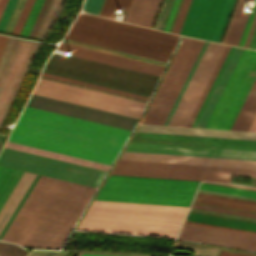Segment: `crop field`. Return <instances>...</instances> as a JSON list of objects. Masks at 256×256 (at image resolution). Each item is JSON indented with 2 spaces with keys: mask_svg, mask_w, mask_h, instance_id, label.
<instances>
[{
  "mask_svg": "<svg viewBox=\"0 0 256 256\" xmlns=\"http://www.w3.org/2000/svg\"><path fill=\"white\" fill-rule=\"evenodd\" d=\"M129 133L25 106L8 140L111 165Z\"/></svg>",
  "mask_w": 256,
  "mask_h": 256,
  "instance_id": "8a807250",
  "label": "crop field"
},
{
  "mask_svg": "<svg viewBox=\"0 0 256 256\" xmlns=\"http://www.w3.org/2000/svg\"><path fill=\"white\" fill-rule=\"evenodd\" d=\"M95 190L40 176L1 239L60 248Z\"/></svg>",
  "mask_w": 256,
  "mask_h": 256,
  "instance_id": "ac0d7876",
  "label": "crop field"
},
{
  "mask_svg": "<svg viewBox=\"0 0 256 256\" xmlns=\"http://www.w3.org/2000/svg\"><path fill=\"white\" fill-rule=\"evenodd\" d=\"M187 209L93 200L78 229L174 238Z\"/></svg>",
  "mask_w": 256,
  "mask_h": 256,
  "instance_id": "34b2d1b8",
  "label": "crop field"
},
{
  "mask_svg": "<svg viewBox=\"0 0 256 256\" xmlns=\"http://www.w3.org/2000/svg\"><path fill=\"white\" fill-rule=\"evenodd\" d=\"M65 38L167 62L179 36L80 14Z\"/></svg>",
  "mask_w": 256,
  "mask_h": 256,
  "instance_id": "412701ff",
  "label": "crop field"
},
{
  "mask_svg": "<svg viewBox=\"0 0 256 256\" xmlns=\"http://www.w3.org/2000/svg\"><path fill=\"white\" fill-rule=\"evenodd\" d=\"M199 182L109 175L95 199L189 206Z\"/></svg>",
  "mask_w": 256,
  "mask_h": 256,
  "instance_id": "f4fd0767",
  "label": "crop field"
},
{
  "mask_svg": "<svg viewBox=\"0 0 256 256\" xmlns=\"http://www.w3.org/2000/svg\"><path fill=\"white\" fill-rule=\"evenodd\" d=\"M44 72L83 80L149 97L157 76L53 53Z\"/></svg>",
  "mask_w": 256,
  "mask_h": 256,
  "instance_id": "dd49c442",
  "label": "crop field"
},
{
  "mask_svg": "<svg viewBox=\"0 0 256 256\" xmlns=\"http://www.w3.org/2000/svg\"><path fill=\"white\" fill-rule=\"evenodd\" d=\"M256 78V51L244 49L205 128L230 130Z\"/></svg>",
  "mask_w": 256,
  "mask_h": 256,
  "instance_id": "e52e79f7",
  "label": "crop field"
},
{
  "mask_svg": "<svg viewBox=\"0 0 256 256\" xmlns=\"http://www.w3.org/2000/svg\"><path fill=\"white\" fill-rule=\"evenodd\" d=\"M203 43L183 39L142 123L163 125Z\"/></svg>",
  "mask_w": 256,
  "mask_h": 256,
  "instance_id": "d8731c3e",
  "label": "crop field"
},
{
  "mask_svg": "<svg viewBox=\"0 0 256 256\" xmlns=\"http://www.w3.org/2000/svg\"><path fill=\"white\" fill-rule=\"evenodd\" d=\"M111 174L229 183L231 175L256 176V170L118 160Z\"/></svg>",
  "mask_w": 256,
  "mask_h": 256,
  "instance_id": "5a996713",
  "label": "crop field"
},
{
  "mask_svg": "<svg viewBox=\"0 0 256 256\" xmlns=\"http://www.w3.org/2000/svg\"><path fill=\"white\" fill-rule=\"evenodd\" d=\"M34 94L139 118L145 104L40 78Z\"/></svg>",
  "mask_w": 256,
  "mask_h": 256,
  "instance_id": "3316defc",
  "label": "crop field"
},
{
  "mask_svg": "<svg viewBox=\"0 0 256 256\" xmlns=\"http://www.w3.org/2000/svg\"><path fill=\"white\" fill-rule=\"evenodd\" d=\"M0 164L66 179L93 187L98 186L105 174L104 171L43 158L5 147L0 154Z\"/></svg>",
  "mask_w": 256,
  "mask_h": 256,
  "instance_id": "28ad6ade",
  "label": "crop field"
},
{
  "mask_svg": "<svg viewBox=\"0 0 256 256\" xmlns=\"http://www.w3.org/2000/svg\"><path fill=\"white\" fill-rule=\"evenodd\" d=\"M235 0H192L179 34L220 42Z\"/></svg>",
  "mask_w": 256,
  "mask_h": 256,
  "instance_id": "d1516ede",
  "label": "crop field"
},
{
  "mask_svg": "<svg viewBox=\"0 0 256 256\" xmlns=\"http://www.w3.org/2000/svg\"><path fill=\"white\" fill-rule=\"evenodd\" d=\"M131 141L256 150V141L136 132Z\"/></svg>",
  "mask_w": 256,
  "mask_h": 256,
  "instance_id": "22f410ed",
  "label": "crop field"
},
{
  "mask_svg": "<svg viewBox=\"0 0 256 256\" xmlns=\"http://www.w3.org/2000/svg\"><path fill=\"white\" fill-rule=\"evenodd\" d=\"M181 230L256 242V236H253V235H247V234H241V233H235V232H229V231H223V230H217V229H211V228H205V227H199V226H193V225H187V224H184ZM184 231L180 232L178 238L193 240V241L202 242V243L256 250V243L209 236V235H202V234H196V233H190V232H184Z\"/></svg>",
  "mask_w": 256,
  "mask_h": 256,
  "instance_id": "cbeb9de0",
  "label": "crop field"
},
{
  "mask_svg": "<svg viewBox=\"0 0 256 256\" xmlns=\"http://www.w3.org/2000/svg\"><path fill=\"white\" fill-rule=\"evenodd\" d=\"M120 159L256 169V161L124 152Z\"/></svg>",
  "mask_w": 256,
  "mask_h": 256,
  "instance_id": "5142ce71",
  "label": "crop field"
},
{
  "mask_svg": "<svg viewBox=\"0 0 256 256\" xmlns=\"http://www.w3.org/2000/svg\"><path fill=\"white\" fill-rule=\"evenodd\" d=\"M59 50L75 53L74 56L160 76L163 66L107 54L61 42Z\"/></svg>",
  "mask_w": 256,
  "mask_h": 256,
  "instance_id": "d9b57169",
  "label": "crop field"
},
{
  "mask_svg": "<svg viewBox=\"0 0 256 256\" xmlns=\"http://www.w3.org/2000/svg\"><path fill=\"white\" fill-rule=\"evenodd\" d=\"M127 148L256 158V151L130 142Z\"/></svg>",
  "mask_w": 256,
  "mask_h": 256,
  "instance_id": "733c2abd",
  "label": "crop field"
},
{
  "mask_svg": "<svg viewBox=\"0 0 256 256\" xmlns=\"http://www.w3.org/2000/svg\"><path fill=\"white\" fill-rule=\"evenodd\" d=\"M225 46L224 45H219V44H216L176 126H186L197 102H198V99L210 77V75L212 74L223 50H224Z\"/></svg>",
  "mask_w": 256,
  "mask_h": 256,
  "instance_id": "4a817a6b",
  "label": "crop field"
},
{
  "mask_svg": "<svg viewBox=\"0 0 256 256\" xmlns=\"http://www.w3.org/2000/svg\"><path fill=\"white\" fill-rule=\"evenodd\" d=\"M137 131L256 140L255 133L140 125Z\"/></svg>",
  "mask_w": 256,
  "mask_h": 256,
  "instance_id": "bc2a9ffb",
  "label": "crop field"
},
{
  "mask_svg": "<svg viewBox=\"0 0 256 256\" xmlns=\"http://www.w3.org/2000/svg\"><path fill=\"white\" fill-rule=\"evenodd\" d=\"M160 3L161 0H132L124 21L151 28Z\"/></svg>",
  "mask_w": 256,
  "mask_h": 256,
  "instance_id": "214f88e0",
  "label": "crop field"
},
{
  "mask_svg": "<svg viewBox=\"0 0 256 256\" xmlns=\"http://www.w3.org/2000/svg\"><path fill=\"white\" fill-rule=\"evenodd\" d=\"M242 51H243L242 48L235 47L227 65H226V67H225V69H224V71H223V73H222V75H221V77H220V79H219V81H218V83H217V85H216V87H215V89H214V91H213V93H212V95H211V97H210V99H209V101H208V103H207V105H206V107H205L197 125H196V127L204 128V126H205V124H206V122H207V120H208V118H209V116H210V114H211V112H212V110H213V108H214V106H215L223 88L225 87V85H226V83H227V81H228V79H229V77H230V75H231V73H232V71H233L241 53H242Z\"/></svg>",
  "mask_w": 256,
  "mask_h": 256,
  "instance_id": "92a150f3",
  "label": "crop field"
},
{
  "mask_svg": "<svg viewBox=\"0 0 256 256\" xmlns=\"http://www.w3.org/2000/svg\"><path fill=\"white\" fill-rule=\"evenodd\" d=\"M214 46H215L214 43H210V42L208 43V45H207L199 63H198V65H197V67H196V69H195V71H194V73H193V75H192V77H191V79H190V81H189V83H188V85H187V87H186V89H185V91H184V93H183V95H182L174 113H173V116H172L171 120L168 123V125L175 126V124H176V122H177V120H178V118H179V116H180V114H181V112H182V110H183V108H184V106H185V104H186V102H187V100H188V98H189V96H190V94H191V92H192V90H193V88H194V86H195V84H196V82H197V80H198V78H199V76H200V74H201V72H202L210 54H211V52H212V50H213V48H214Z\"/></svg>",
  "mask_w": 256,
  "mask_h": 256,
  "instance_id": "dafd665d",
  "label": "crop field"
},
{
  "mask_svg": "<svg viewBox=\"0 0 256 256\" xmlns=\"http://www.w3.org/2000/svg\"><path fill=\"white\" fill-rule=\"evenodd\" d=\"M4 146L11 149L23 151V152H28L36 155H41L45 157H50L58 160H63L71 163L84 165V166H89V167H93V168H97L105 171H107V169L109 168L108 165L91 162V161H87L79 158H74V157H70L62 154H57V153H53V152H49V151H45L37 148H32V147H28V146H24L16 143L8 142V141H6Z\"/></svg>",
  "mask_w": 256,
  "mask_h": 256,
  "instance_id": "00972430",
  "label": "crop field"
},
{
  "mask_svg": "<svg viewBox=\"0 0 256 256\" xmlns=\"http://www.w3.org/2000/svg\"><path fill=\"white\" fill-rule=\"evenodd\" d=\"M186 220L256 231V223L188 212Z\"/></svg>",
  "mask_w": 256,
  "mask_h": 256,
  "instance_id": "a9b5d70f",
  "label": "crop field"
},
{
  "mask_svg": "<svg viewBox=\"0 0 256 256\" xmlns=\"http://www.w3.org/2000/svg\"><path fill=\"white\" fill-rule=\"evenodd\" d=\"M244 1L245 0H238L237 2L231 21L229 23L228 29L226 31L225 37L222 42L224 44H230L235 46L238 45L245 22L248 17V14L240 13Z\"/></svg>",
  "mask_w": 256,
  "mask_h": 256,
  "instance_id": "4177f3b9",
  "label": "crop field"
},
{
  "mask_svg": "<svg viewBox=\"0 0 256 256\" xmlns=\"http://www.w3.org/2000/svg\"><path fill=\"white\" fill-rule=\"evenodd\" d=\"M256 112V80L231 128V130L246 131Z\"/></svg>",
  "mask_w": 256,
  "mask_h": 256,
  "instance_id": "730fd06b",
  "label": "crop field"
},
{
  "mask_svg": "<svg viewBox=\"0 0 256 256\" xmlns=\"http://www.w3.org/2000/svg\"><path fill=\"white\" fill-rule=\"evenodd\" d=\"M194 202L225 206V207H231V208H237V209L256 212V202L245 201V200H238V199L198 193Z\"/></svg>",
  "mask_w": 256,
  "mask_h": 256,
  "instance_id": "eef30255",
  "label": "crop field"
},
{
  "mask_svg": "<svg viewBox=\"0 0 256 256\" xmlns=\"http://www.w3.org/2000/svg\"><path fill=\"white\" fill-rule=\"evenodd\" d=\"M22 174V171L0 166V209Z\"/></svg>",
  "mask_w": 256,
  "mask_h": 256,
  "instance_id": "ae1a2a85",
  "label": "crop field"
},
{
  "mask_svg": "<svg viewBox=\"0 0 256 256\" xmlns=\"http://www.w3.org/2000/svg\"><path fill=\"white\" fill-rule=\"evenodd\" d=\"M199 189L256 198L255 191L230 188V187H224V186H218V185H212V184H206V183H202Z\"/></svg>",
  "mask_w": 256,
  "mask_h": 256,
  "instance_id": "d3111659",
  "label": "crop field"
},
{
  "mask_svg": "<svg viewBox=\"0 0 256 256\" xmlns=\"http://www.w3.org/2000/svg\"><path fill=\"white\" fill-rule=\"evenodd\" d=\"M131 0H105L100 11V16L114 18L117 8L128 9Z\"/></svg>",
  "mask_w": 256,
  "mask_h": 256,
  "instance_id": "750c4746",
  "label": "crop field"
},
{
  "mask_svg": "<svg viewBox=\"0 0 256 256\" xmlns=\"http://www.w3.org/2000/svg\"><path fill=\"white\" fill-rule=\"evenodd\" d=\"M230 47L231 46L227 45L222 57L220 58L217 66H216V68H215V70H214V72H213V74H212V76H211V78H210V80H209V82H208V84H207V86H206V88H205V90H204V92H203V94H202V96H201V98H200V100H199V102H198V104H197V106H196L188 124H187L188 127L191 126V124H192V122H193V120H194V118H195V116H196V114H197V112H198V110H199V108H200V106H201V104H202V102H203V100H204V98H205V96H206V94H207V92H208V90H209V88H210V86H211V84H212V82H213V80H214V78H215V76H216L224 58H225V56H226V54H227V52H228V50L230 49Z\"/></svg>",
  "mask_w": 256,
  "mask_h": 256,
  "instance_id": "bd1437ed",
  "label": "crop field"
},
{
  "mask_svg": "<svg viewBox=\"0 0 256 256\" xmlns=\"http://www.w3.org/2000/svg\"><path fill=\"white\" fill-rule=\"evenodd\" d=\"M41 75L51 77V78H55V79H59V80H63V81H67V82H71V83H75V84H79V85H84V86H88V87H93V88H97V89H101V90H106V91H110V92H115V93H119V94H123V95H128V96L148 100L147 97L134 95V94H130V93H125V92L109 89V88H106V87H102V86H98V85H94V84H90V83H85V82H81V81H77V80H73V79H69V78H64V77H60V76H56V75H52V74H48V73H44V72H42Z\"/></svg>",
  "mask_w": 256,
  "mask_h": 256,
  "instance_id": "1d83c4d3",
  "label": "crop field"
},
{
  "mask_svg": "<svg viewBox=\"0 0 256 256\" xmlns=\"http://www.w3.org/2000/svg\"><path fill=\"white\" fill-rule=\"evenodd\" d=\"M25 1L26 0H17L15 6L13 8V11H12V13H11L9 19H8V22H7V24L4 28L5 32H9V33L12 32V30H13L15 24H16V21H17L19 15H20V12H21L24 4H25Z\"/></svg>",
  "mask_w": 256,
  "mask_h": 256,
  "instance_id": "120bbe31",
  "label": "crop field"
},
{
  "mask_svg": "<svg viewBox=\"0 0 256 256\" xmlns=\"http://www.w3.org/2000/svg\"><path fill=\"white\" fill-rule=\"evenodd\" d=\"M174 0H164L157 22L155 24L156 29H164L170 10L172 8Z\"/></svg>",
  "mask_w": 256,
  "mask_h": 256,
  "instance_id": "d32e631a",
  "label": "crop field"
},
{
  "mask_svg": "<svg viewBox=\"0 0 256 256\" xmlns=\"http://www.w3.org/2000/svg\"><path fill=\"white\" fill-rule=\"evenodd\" d=\"M34 1L35 0H27L26 1V4H25V6H24V8H23V10L21 12V15H20V17H19V19L17 21V24H16V26H15V28H14L12 33L18 34V35L20 34V32H21V30H22V28L24 26V23H25V21H26V19L28 17V14H29L32 6H33Z\"/></svg>",
  "mask_w": 256,
  "mask_h": 256,
  "instance_id": "5866460e",
  "label": "crop field"
},
{
  "mask_svg": "<svg viewBox=\"0 0 256 256\" xmlns=\"http://www.w3.org/2000/svg\"><path fill=\"white\" fill-rule=\"evenodd\" d=\"M43 0H36L35 3H34V6L29 14V17L25 23V26L21 32L20 35H24V36H27L31 27H32V24L36 18V15L41 7V4H42Z\"/></svg>",
  "mask_w": 256,
  "mask_h": 256,
  "instance_id": "028f5c9d",
  "label": "crop field"
},
{
  "mask_svg": "<svg viewBox=\"0 0 256 256\" xmlns=\"http://www.w3.org/2000/svg\"><path fill=\"white\" fill-rule=\"evenodd\" d=\"M191 0H183L182 5L180 7L179 13L177 15L176 21L174 23L173 29L171 32L173 33H179V30L181 28L182 22L184 20L185 14L187 12L188 6L190 4Z\"/></svg>",
  "mask_w": 256,
  "mask_h": 256,
  "instance_id": "e1f06a70",
  "label": "crop field"
},
{
  "mask_svg": "<svg viewBox=\"0 0 256 256\" xmlns=\"http://www.w3.org/2000/svg\"><path fill=\"white\" fill-rule=\"evenodd\" d=\"M29 175V173L24 172V174L22 175L21 179L19 180V182L17 183L16 187L14 188V190L12 191V193L10 194L9 198L7 199V201L5 202L4 206L2 207V209L0 210V219L2 218V216L4 215L5 211L7 210V208L9 207L10 203L12 202V200L14 199L15 195L17 194V192L19 191V189L21 188L22 184L24 183V181L26 180L27 176Z\"/></svg>",
  "mask_w": 256,
  "mask_h": 256,
  "instance_id": "0bd39190",
  "label": "crop field"
},
{
  "mask_svg": "<svg viewBox=\"0 0 256 256\" xmlns=\"http://www.w3.org/2000/svg\"><path fill=\"white\" fill-rule=\"evenodd\" d=\"M233 49H234V47H231L223 65H222V67H221V69H220V71H219V73H218V75H217V77H216V79H215V81H214V83H213V85H212V87H211V89H210V91H209V93H208V95H207V97H206V99H205V101H204V103H203V105H202V107H201L193 125H192V127H195V125H196V123H197V121H198V119H199V117H200V115H201V113H202V111H203V109H204V107H205V105H206V103H207V101H208V99H209V97H210V95H211V93H212V91H213V89H214V87H215V85H216V83H217V81H218V79H219V77H220V75H221L229 57H230V55H231V53H232V51H233Z\"/></svg>",
  "mask_w": 256,
  "mask_h": 256,
  "instance_id": "b80d0937",
  "label": "crop field"
},
{
  "mask_svg": "<svg viewBox=\"0 0 256 256\" xmlns=\"http://www.w3.org/2000/svg\"><path fill=\"white\" fill-rule=\"evenodd\" d=\"M103 0H85L83 10L92 14H99Z\"/></svg>",
  "mask_w": 256,
  "mask_h": 256,
  "instance_id": "c035e120",
  "label": "crop field"
},
{
  "mask_svg": "<svg viewBox=\"0 0 256 256\" xmlns=\"http://www.w3.org/2000/svg\"><path fill=\"white\" fill-rule=\"evenodd\" d=\"M207 43L208 42L206 41L202 50H201V52H200V54H199V56H198V58H197V60H196V62H195V64H194V66H193V68H192V70H191V72H190V74H189V76H188V78H187V80H186V82H185V84H184V86H183V88H182V90H181V92H180V94H179V96H178V98L176 99V101H175V103H174V105H173V107H172L164 125H167V123H168V121H169V119H170V117H171V115H172V113H173V111H174V109H175V107H176V105H177V103H178V101H179V99H180V97H181V95H182V93H183V91H184V89H185V87H186V85H187V83H188V81H189V79H190V77H191V75H192V73H193V71H194V69H195L203 51H204V49H205V47H206V45H207Z\"/></svg>",
  "mask_w": 256,
  "mask_h": 256,
  "instance_id": "c21b1889",
  "label": "crop field"
},
{
  "mask_svg": "<svg viewBox=\"0 0 256 256\" xmlns=\"http://www.w3.org/2000/svg\"><path fill=\"white\" fill-rule=\"evenodd\" d=\"M182 0H175V3L173 5L172 11L170 13L169 19L167 21L166 27H165V31H171V28L173 26L174 20L176 18L177 12L179 10L180 4H181Z\"/></svg>",
  "mask_w": 256,
  "mask_h": 256,
  "instance_id": "03da06ac",
  "label": "crop field"
},
{
  "mask_svg": "<svg viewBox=\"0 0 256 256\" xmlns=\"http://www.w3.org/2000/svg\"><path fill=\"white\" fill-rule=\"evenodd\" d=\"M15 2H16V0H9L8 1L7 5H6L5 9H4V12H3V14H2V16L0 18V31L3 30V28H4V26H5L6 22H7V19L9 17L10 13H11V10H12Z\"/></svg>",
  "mask_w": 256,
  "mask_h": 256,
  "instance_id": "b54c1fbb",
  "label": "crop field"
},
{
  "mask_svg": "<svg viewBox=\"0 0 256 256\" xmlns=\"http://www.w3.org/2000/svg\"><path fill=\"white\" fill-rule=\"evenodd\" d=\"M192 207L213 210V211H219V212L232 213V214H238V215H244V216H250V217H256V214H252V213L239 212V211H233V210H227V209H221V208H214V207H208V206H202V205H196V204H193Z\"/></svg>",
  "mask_w": 256,
  "mask_h": 256,
  "instance_id": "5d738f31",
  "label": "crop field"
},
{
  "mask_svg": "<svg viewBox=\"0 0 256 256\" xmlns=\"http://www.w3.org/2000/svg\"><path fill=\"white\" fill-rule=\"evenodd\" d=\"M36 177L35 174H33L32 178L30 179V181L28 182L27 186L25 187L24 191L22 192V194L20 195L19 199L17 200L16 204L14 205V207L12 208L11 212L9 213L8 217L6 218V220L4 221L3 225L0 228V232L2 231V229L4 228L5 224L7 223V221L9 220V218L11 217L12 213L14 212V210L16 209L17 205L19 204V202L21 201L22 197L24 196V194L26 193V191L28 190L29 186L31 185L32 181L34 180V178Z\"/></svg>",
  "mask_w": 256,
  "mask_h": 256,
  "instance_id": "d23c7cc5",
  "label": "crop field"
},
{
  "mask_svg": "<svg viewBox=\"0 0 256 256\" xmlns=\"http://www.w3.org/2000/svg\"><path fill=\"white\" fill-rule=\"evenodd\" d=\"M125 151H132V152H147V153H162V154H177V155H192V156H206V157H221V156H208V155H196V154L172 153V152L142 151V150H131V149H126ZM221 158H235V157H221ZM236 159H249V158H236ZM251 160H256V159H251Z\"/></svg>",
  "mask_w": 256,
  "mask_h": 256,
  "instance_id": "425ffa30",
  "label": "crop field"
},
{
  "mask_svg": "<svg viewBox=\"0 0 256 256\" xmlns=\"http://www.w3.org/2000/svg\"><path fill=\"white\" fill-rule=\"evenodd\" d=\"M255 1H256V0H255ZM255 11H256V3H255V5H254V7H253V12H251L250 15H249V19H248V21H247L246 27H245V29H244L243 35H242L241 40H240V43H239V45H238V46H240V47L243 46V43H244V41H245V38H246V35H247V33H248L250 24H251V22H252V19H253L254 14H255Z\"/></svg>",
  "mask_w": 256,
  "mask_h": 256,
  "instance_id": "25e5ab78",
  "label": "crop field"
},
{
  "mask_svg": "<svg viewBox=\"0 0 256 256\" xmlns=\"http://www.w3.org/2000/svg\"><path fill=\"white\" fill-rule=\"evenodd\" d=\"M184 223L206 226V227H212V228H218V229L231 230V231H237V232H244V233H250V234H256V232H251V231L238 230V229H232V228H226V227H219V226H213V225H207V224H200V223H194V222H188V221H185Z\"/></svg>",
  "mask_w": 256,
  "mask_h": 256,
  "instance_id": "73cf0c24",
  "label": "crop field"
},
{
  "mask_svg": "<svg viewBox=\"0 0 256 256\" xmlns=\"http://www.w3.org/2000/svg\"><path fill=\"white\" fill-rule=\"evenodd\" d=\"M82 256H108V255L82 254ZM218 256H254V255H246V254H239V253H231V252L221 251Z\"/></svg>",
  "mask_w": 256,
  "mask_h": 256,
  "instance_id": "89e229c0",
  "label": "crop field"
},
{
  "mask_svg": "<svg viewBox=\"0 0 256 256\" xmlns=\"http://www.w3.org/2000/svg\"><path fill=\"white\" fill-rule=\"evenodd\" d=\"M39 178V175H37V177L35 178L34 182L32 183V185L30 186L29 190L27 191V193L25 194V196L23 197L22 201L20 202V204L18 205L17 209L15 210V212L13 213L12 217L10 218V220L8 221V223L6 224L5 228L3 229V231L0 234V237L3 235V233L5 232L6 228L8 227L10 221L12 220L13 216L17 213L20 205L22 204L23 200L25 199V197L27 196V194L29 193L30 189L32 188V186L34 185V183L36 182V180Z\"/></svg>",
  "mask_w": 256,
  "mask_h": 256,
  "instance_id": "1f2cbd36",
  "label": "crop field"
},
{
  "mask_svg": "<svg viewBox=\"0 0 256 256\" xmlns=\"http://www.w3.org/2000/svg\"><path fill=\"white\" fill-rule=\"evenodd\" d=\"M255 25H256V14H255V16H254L253 22H252V24H251L249 33H248V35H247V38H246V41H245L243 47H247V46H248V43H249V41H250V38H251V35H252V33H253V30H254Z\"/></svg>",
  "mask_w": 256,
  "mask_h": 256,
  "instance_id": "dbb93151",
  "label": "crop field"
},
{
  "mask_svg": "<svg viewBox=\"0 0 256 256\" xmlns=\"http://www.w3.org/2000/svg\"><path fill=\"white\" fill-rule=\"evenodd\" d=\"M48 251L33 250L27 256H44Z\"/></svg>",
  "mask_w": 256,
  "mask_h": 256,
  "instance_id": "0fb4a251",
  "label": "crop field"
},
{
  "mask_svg": "<svg viewBox=\"0 0 256 256\" xmlns=\"http://www.w3.org/2000/svg\"><path fill=\"white\" fill-rule=\"evenodd\" d=\"M248 47L256 49V27Z\"/></svg>",
  "mask_w": 256,
  "mask_h": 256,
  "instance_id": "1d79db26",
  "label": "crop field"
},
{
  "mask_svg": "<svg viewBox=\"0 0 256 256\" xmlns=\"http://www.w3.org/2000/svg\"><path fill=\"white\" fill-rule=\"evenodd\" d=\"M7 38H8V37H6V36H1V35H0V55H1V53H2V50H3V48H4V45H5V43H6Z\"/></svg>",
  "mask_w": 256,
  "mask_h": 256,
  "instance_id": "9d1cf04e",
  "label": "crop field"
},
{
  "mask_svg": "<svg viewBox=\"0 0 256 256\" xmlns=\"http://www.w3.org/2000/svg\"><path fill=\"white\" fill-rule=\"evenodd\" d=\"M248 131H255L256 132V115L253 118Z\"/></svg>",
  "mask_w": 256,
  "mask_h": 256,
  "instance_id": "447ae74e",
  "label": "crop field"
},
{
  "mask_svg": "<svg viewBox=\"0 0 256 256\" xmlns=\"http://www.w3.org/2000/svg\"><path fill=\"white\" fill-rule=\"evenodd\" d=\"M8 0H0V16Z\"/></svg>",
  "mask_w": 256,
  "mask_h": 256,
  "instance_id": "0765c3eb",
  "label": "crop field"
},
{
  "mask_svg": "<svg viewBox=\"0 0 256 256\" xmlns=\"http://www.w3.org/2000/svg\"><path fill=\"white\" fill-rule=\"evenodd\" d=\"M218 185L237 187V188H243V189H249V190H255L256 191V189H254V188H248V187H243V186H239V185H225V184H218Z\"/></svg>",
  "mask_w": 256,
  "mask_h": 256,
  "instance_id": "db79e9e6",
  "label": "crop field"
},
{
  "mask_svg": "<svg viewBox=\"0 0 256 256\" xmlns=\"http://www.w3.org/2000/svg\"><path fill=\"white\" fill-rule=\"evenodd\" d=\"M68 252H57L54 256H65Z\"/></svg>",
  "mask_w": 256,
  "mask_h": 256,
  "instance_id": "7b73153f",
  "label": "crop field"
},
{
  "mask_svg": "<svg viewBox=\"0 0 256 256\" xmlns=\"http://www.w3.org/2000/svg\"><path fill=\"white\" fill-rule=\"evenodd\" d=\"M4 138H5L4 135H0V146H1V144H2V142H3V140H4Z\"/></svg>",
  "mask_w": 256,
  "mask_h": 256,
  "instance_id": "78b8030e",
  "label": "crop field"
}]
</instances>
